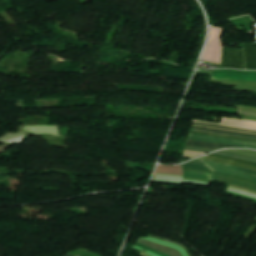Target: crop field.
I'll return each mask as SVG.
<instances>
[{
  "label": "crop field",
  "instance_id": "8a807250",
  "mask_svg": "<svg viewBox=\"0 0 256 256\" xmlns=\"http://www.w3.org/2000/svg\"><path fill=\"white\" fill-rule=\"evenodd\" d=\"M221 66L245 69L243 50L223 48Z\"/></svg>",
  "mask_w": 256,
  "mask_h": 256
},
{
  "label": "crop field",
  "instance_id": "ac0d7876",
  "mask_svg": "<svg viewBox=\"0 0 256 256\" xmlns=\"http://www.w3.org/2000/svg\"><path fill=\"white\" fill-rule=\"evenodd\" d=\"M213 79L256 80V72L233 71V70H214Z\"/></svg>",
  "mask_w": 256,
  "mask_h": 256
},
{
  "label": "crop field",
  "instance_id": "34b2d1b8",
  "mask_svg": "<svg viewBox=\"0 0 256 256\" xmlns=\"http://www.w3.org/2000/svg\"><path fill=\"white\" fill-rule=\"evenodd\" d=\"M191 134H192V133H191ZM193 135H197V134H193ZM193 135H190L188 139H191V140H198V141H206V142H213V143H224V144H231V145H239V146H245V147L256 148V145L246 144V143H240V142H249V143H255V144H256V142L243 141V140H235V139H226V138H216V137L205 136V137H209V138L240 141V142H232V141H224V140H216V139H207V138H202V137L193 136ZM199 136H203V135H199Z\"/></svg>",
  "mask_w": 256,
  "mask_h": 256
},
{
  "label": "crop field",
  "instance_id": "412701ff",
  "mask_svg": "<svg viewBox=\"0 0 256 256\" xmlns=\"http://www.w3.org/2000/svg\"><path fill=\"white\" fill-rule=\"evenodd\" d=\"M246 69H256V44H244Z\"/></svg>",
  "mask_w": 256,
  "mask_h": 256
},
{
  "label": "crop field",
  "instance_id": "f4fd0767",
  "mask_svg": "<svg viewBox=\"0 0 256 256\" xmlns=\"http://www.w3.org/2000/svg\"><path fill=\"white\" fill-rule=\"evenodd\" d=\"M139 243H143L155 250H158V251H161L165 254H168L170 256H182V254L174 249V248H170V247H167V246H163V245H160V244H157L155 242H151V241H147V240H142V239H139L138 240Z\"/></svg>",
  "mask_w": 256,
  "mask_h": 256
},
{
  "label": "crop field",
  "instance_id": "dd49c442",
  "mask_svg": "<svg viewBox=\"0 0 256 256\" xmlns=\"http://www.w3.org/2000/svg\"><path fill=\"white\" fill-rule=\"evenodd\" d=\"M223 119L236 120V121H243V122H250V123H256V122H254V121H246V120H238V119H230V118H223ZM236 121H227V120H223V121H222V124H218V123H210V122H203V121H196V120H194V122H199V123H209V124H217V125H226V126H234V127L247 128V129H255V130H256V124L243 123V122H236Z\"/></svg>",
  "mask_w": 256,
  "mask_h": 256
},
{
  "label": "crop field",
  "instance_id": "e52e79f7",
  "mask_svg": "<svg viewBox=\"0 0 256 256\" xmlns=\"http://www.w3.org/2000/svg\"><path fill=\"white\" fill-rule=\"evenodd\" d=\"M204 160L222 162V163H226V164H230V165H234V166H238V167H242V168H246V169L256 171V167H254V166H250V165H246V164H242V163H237V162L227 160V159L207 156Z\"/></svg>",
  "mask_w": 256,
  "mask_h": 256
},
{
  "label": "crop field",
  "instance_id": "d8731c3e",
  "mask_svg": "<svg viewBox=\"0 0 256 256\" xmlns=\"http://www.w3.org/2000/svg\"><path fill=\"white\" fill-rule=\"evenodd\" d=\"M186 145L195 146V147L213 148V149H220L224 147H238V146L212 144V143H205V142H198V141H191V140H188Z\"/></svg>",
  "mask_w": 256,
  "mask_h": 256
},
{
  "label": "crop field",
  "instance_id": "5a996713",
  "mask_svg": "<svg viewBox=\"0 0 256 256\" xmlns=\"http://www.w3.org/2000/svg\"><path fill=\"white\" fill-rule=\"evenodd\" d=\"M204 162L206 163V165L232 169V170H236V171H240V172H244V173H248V174L256 176V172H254V171H250V170H246V169H242V168H238V167H234V166L224 165V164L213 163V162H207V161H204Z\"/></svg>",
  "mask_w": 256,
  "mask_h": 256
},
{
  "label": "crop field",
  "instance_id": "3316defc",
  "mask_svg": "<svg viewBox=\"0 0 256 256\" xmlns=\"http://www.w3.org/2000/svg\"><path fill=\"white\" fill-rule=\"evenodd\" d=\"M211 168L213 169V171L229 173V174H232V175H236V176H239V177H243V178H247V179H251V180H255L256 181V177L255 176H251V175L240 173V172H236V171L226 170V169H222V168H218V167H211Z\"/></svg>",
  "mask_w": 256,
  "mask_h": 256
},
{
  "label": "crop field",
  "instance_id": "28ad6ade",
  "mask_svg": "<svg viewBox=\"0 0 256 256\" xmlns=\"http://www.w3.org/2000/svg\"><path fill=\"white\" fill-rule=\"evenodd\" d=\"M214 154H218V155H222V156H228V157H233V158H238V159H242V160H246V161H250V162L256 163V159L255 158H251V157H247V156H243V155H239V154H235V153H229V152L220 151V152L214 153Z\"/></svg>",
  "mask_w": 256,
  "mask_h": 256
},
{
  "label": "crop field",
  "instance_id": "d1516ede",
  "mask_svg": "<svg viewBox=\"0 0 256 256\" xmlns=\"http://www.w3.org/2000/svg\"><path fill=\"white\" fill-rule=\"evenodd\" d=\"M184 176L209 179L210 174L197 171H184Z\"/></svg>",
  "mask_w": 256,
  "mask_h": 256
},
{
  "label": "crop field",
  "instance_id": "22f410ed",
  "mask_svg": "<svg viewBox=\"0 0 256 256\" xmlns=\"http://www.w3.org/2000/svg\"><path fill=\"white\" fill-rule=\"evenodd\" d=\"M144 239L151 240V241H155V242H158V243H161V244H164V245H168V246L174 247V248L180 250V251L182 252L183 256H188V255L186 254V252H185L182 248H180V247H177V246L168 244V243L163 242V241H160V240H155V239H150V238H144Z\"/></svg>",
  "mask_w": 256,
  "mask_h": 256
},
{
  "label": "crop field",
  "instance_id": "cbeb9de0",
  "mask_svg": "<svg viewBox=\"0 0 256 256\" xmlns=\"http://www.w3.org/2000/svg\"><path fill=\"white\" fill-rule=\"evenodd\" d=\"M185 150L199 151V152H205V153H209L211 151H214L212 149L195 148V147H189V146H186Z\"/></svg>",
  "mask_w": 256,
  "mask_h": 256
},
{
  "label": "crop field",
  "instance_id": "5142ce71",
  "mask_svg": "<svg viewBox=\"0 0 256 256\" xmlns=\"http://www.w3.org/2000/svg\"><path fill=\"white\" fill-rule=\"evenodd\" d=\"M183 167H189V168H195V169H206L211 170L207 166H201V165H191V164H184Z\"/></svg>",
  "mask_w": 256,
  "mask_h": 256
},
{
  "label": "crop field",
  "instance_id": "d9b57169",
  "mask_svg": "<svg viewBox=\"0 0 256 256\" xmlns=\"http://www.w3.org/2000/svg\"><path fill=\"white\" fill-rule=\"evenodd\" d=\"M192 130H194V129H192ZM194 131L208 132V133H215V134H221V135H227V136H235V137H243V138L256 139V138H252V137L239 136V135H232V134H224V133H216V132H210V131H201V130H194Z\"/></svg>",
  "mask_w": 256,
  "mask_h": 256
},
{
  "label": "crop field",
  "instance_id": "733c2abd",
  "mask_svg": "<svg viewBox=\"0 0 256 256\" xmlns=\"http://www.w3.org/2000/svg\"><path fill=\"white\" fill-rule=\"evenodd\" d=\"M149 237H151V238H156V239H160V238H157V237H154V236H151V235H150ZM160 240H163V241H166V242H169V243H172V244H175V245H178V246L183 247V248L187 251L188 255L191 256L190 253H189V249H188L187 247H184V246H182V245H180V244H177V243H175V242H173V241L164 240V239H160Z\"/></svg>",
  "mask_w": 256,
  "mask_h": 256
},
{
  "label": "crop field",
  "instance_id": "4a817a6b",
  "mask_svg": "<svg viewBox=\"0 0 256 256\" xmlns=\"http://www.w3.org/2000/svg\"><path fill=\"white\" fill-rule=\"evenodd\" d=\"M194 124H198V125H208V126H216V127H222V128H228V129H234V130H241V131L256 132V131H254V130H246V129L229 128V127L217 126V125L199 124V123H194Z\"/></svg>",
  "mask_w": 256,
  "mask_h": 256
},
{
  "label": "crop field",
  "instance_id": "bc2a9ffb",
  "mask_svg": "<svg viewBox=\"0 0 256 256\" xmlns=\"http://www.w3.org/2000/svg\"><path fill=\"white\" fill-rule=\"evenodd\" d=\"M136 245H138V246H140V247H142V248H144V249H146V250H148V251H150V252L156 253V254H158V255H160V256H167V255L162 254V253H160V252L154 251V250H152V249H150V248H148V247H146V246H144V245H142V244L137 243Z\"/></svg>",
  "mask_w": 256,
  "mask_h": 256
},
{
  "label": "crop field",
  "instance_id": "214f88e0",
  "mask_svg": "<svg viewBox=\"0 0 256 256\" xmlns=\"http://www.w3.org/2000/svg\"><path fill=\"white\" fill-rule=\"evenodd\" d=\"M193 128L194 129L216 131V132H225V133H233V134H239V135H246V134H241V133H236V132H229V131L211 130V129L196 128V127H193ZM247 136H253V135H247Z\"/></svg>",
  "mask_w": 256,
  "mask_h": 256
},
{
  "label": "crop field",
  "instance_id": "92a150f3",
  "mask_svg": "<svg viewBox=\"0 0 256 256\" xmlns=\"http://www.w3.org/2000/svg\"><path fill=\"white\" fill-rule=\"evenodd\" d=\"M211 156H217V155H213V154H210ZM217 157H222V156H217ZM222 158H227V159H231V160H234V161H238V162H242V163H246V164H250V165H254L256 166V164L254 163H250V162H246V161H242V160H238V159H233V158H228V157H222Z\"/></svg>",
  "mask_w": 256,
  "mask_h": 256
},
{
  "label": "crop field",
  "instance_id": "dafd665d",
  "mask_svg": "<svg viewBox=\"0 0 256 256\" xmlns=\"http://www.w3.org/2000/svg\"><path fill=\"white\" fill-rule=\"evenodd\" d=\"M193 132V131H191ZM193 133H198V134H205V135H213V134H206V133H200V132H193ZM213 136H220V135H213ZM221 137H227V136H221ZM230 138H235V137H230ZM238 139H243V138H238ZM246 140H251V139H246ZM256 141V140H253Z\"/></svg>",
  "mask_w": 256,
  "mask_h": 256
},
{
  "label": "crop field",
  "instance_id": "00972430",
  "mask_svg": "<svg viewBox=\"0 0 256 256\" xmlns=\"http://www.w3.org/2000/svg\"><path fill=\"white\" fill-rule=\"evenodd\" d=\"M189 163L205 165L202 161H199V160H195V161H192V162H189Z\"/></svg>",
  "mask_w": 256,
  "mask_h": 256
},
{
  "label": "crop field",
  "instance_id": "a9b5d70f",
  "mask_svg": "<svg viewBox=\"0 0 256 256\" xmlns=\"http://www.w3.org/2000/svg\"><path fill=\"white\" fill-rule=\"evenodd\" d=\"M184 155H186V156H192V157L199 156V155H197V154H188V153H184Z\"/></svg>",
  "mask_w": 256,
  "mask_h": 256
},
{
  "label": "crop field",
  "instance_id": "4177f3b9",
  "mask_svg": "<svg viewBox=\"0 0 256 256\" xmlns=\"http://www.w3.org/2000/svg\"><path fill=\"white\" fill-rule=\"evenodd\" d=\"M133 248L141 249V248H138V247H136V246H134ZM146 253L150 254L151 256H157V255H155V254H153V253H150V252H148V251H147Z\"/></svg>",
  "mask_w": 256,
  "mask_h": 256
},
{
  "label": "crop field",
  "instance_id": "730fd06b",
  "mask_svg": "<svg viewBox=\"0 0 256 256\" xmlns=\"http://www.w3.org/2000/svg\"><path fill=\"white\" fill-rule=\"evenodd\" d=\"M140 253H141L140 255H142V256H149V255H147V254H145L143 252H140Z\"/></svg>",
  "mask_w": 256,
  "mask_h": 256
},
{
  "label": "crop field",
  "instance_id": "eef30255",
  "mask_svg": "<svg viewBox=\"0 0 256 256\" xmlns=\"http://www.w3.org/2000/svg\"><path fill=\"white\" fill-rule=\"evenodd\" d=\"M185 152H189V151H185ZM189 153H198V152H189ZM198 154H204V153H198Z\"/></svg>",
  "mask_w": 256,
  "mask_h": 256
}]
</instances>
